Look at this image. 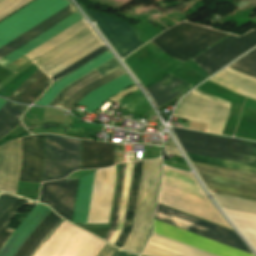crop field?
I'll return each mask as SVG.
<instances>
[{
  "mask_svg": "<svg viewBox=\"0 0 256 256\" xmlns=\"http://www.w3.org/2000/svg\"><path fill=\"white\" fill-rule=\"evenodd\" d=\"M104 241L61 220L32 256H92ZM134 256L107 243L93 256Z\"/></svg>",
  "mask_w": 256,
  "mask_h": 256,
  "instance_id": "8a807250",
  "label": "crop field"
},
{
  "mask_svg": "<svg viewBox=\"0 0 256 256\" xmlns=\"http://www.w3.org/2000/svg\"><path fill=\"white\" fill-rule=\"evenodd\" d=\"M179 143L256 156V143L172 127ZM181 144L184 151L255 164L256 158Z\"/></svg>",
  "mask_w": 256,
  "mask_h": 256,
  "instance_id": "ac0d7876",
  "label": "crop field"
},
{
  "mask_svg": "<svg viewBox=\"0 0 256 256\" xmlns=\"http://www.w3.org/2000/svg\"><path fill=\"white\" fill-rule=\"evenodd\" d=\"M160 159L144 161L132 231L123 249L139 254L150 230Z\"/></svg>",
  "mask_w": 256,
  "mask_h": 256,
  "instance_id": "34b2d1b8",
  "label": "crop field"
},
{
  "mask_svg": "<svg viewBox=\"0 0 256 256\" xmlns=\"http://www.w3.org/2000/svg\"><path fill=\"white\" fill-rule=\"evenodd\" d=\"M226 34L183 22L151 41L165 53L184 62Z\"/></svg>",
  "mask_w": 256,
  "mask_h": 256,
  "instance_id": "412701ff",
  "label": "crop field"
},
{
  "mask_svg": "<svg viewBox=\"0 0 256 256\" xmlns=\"http://www.w3.org/2000/svg\"><path fill=\"white\" fill-rule=\"evenodd\" d=\"M80 167V140L45 135L43 181L61 179Z\"/></svg>",
  "mask_w": 256,
  "mask_h": 256,
  "instance_id": "f4fd0767",
  "label": "crop field"
},
{
  "mask_svg": "<svg viewBox=\"0 0 256 256\" xmlns=\"http://www.w3.org/2000/svg\"><path fill=\"white\" fill-rule=\"evenodd\" d=\"M70 4L68 0H35L0 23V47Z\"/></svg>",
  "mask_w": 256,
  "mask_h": 256,
  "instance_id": "dd49c442",
  "label": "crop field"
},
{
  "mask_svg": "<svg viewBox=\"0 0 256 256\" xmlns=\"http://www.w3.org/2000/svg\"><path fill=\"white\" fill-rule=\"evenodd\" d=\"M154 218L252 253L242 242L236 232L192 217L190 215L178 212L176 210L158 204Z\"/></svg>",
  "mask_w": 256,
  "mask_h": 256,
  "instance_id": "e52e79f7",
  "label": "crop field"
},
{
  "mask_svg": "<svg viewBox=\"0 0 256 256\" xmlns=\"http://www.w3.org/2000/svg\"><path fill=\"white\" fill-rule=\"evenodd\" d=\"M92 32H94L92 30V28L90 26L87 27L83 31L79 32L78 34H76L75 36H73L72 38H70L69 40L64 42L63 44H61L60 46L56 47L55 49H53L49 53L45 54L44 56L37 58L33 62L36 63L37 65L42 63L43 61L47 60L48 58H50L53 55L57 54L58 52L62 51L63 49L69 47L70 45L74 44L75 42L79 41L80 39L84 38L85 36L89 35ZM97 39H99V37L94 32L38 66L44 71V70L48 69L49 67L55 65L56 63L60 62L61 60L65 59L66 57L70 56L71 54L82 49L83 47L87 46L88 44L94 42ZM102 45H104V44L101 41V39H99L44 72L51 77V76L55 75L56 73H58L59 71L63 70L64 68L68 67L69 65L73 64L77 60H79L82 57L86 56L87 54L91 53L95 49L99 48Z\"/></svg>",
  "mask_w": 256,
  "mask_h": 256,
  "instance_id": "d8731c3e",
  "label": "crop field"
},
{
  "mask_svg": "<svg viewBox=\"0 0 256 256\" xmlns=\"http://www.w3.org/2000/svg\"><path fill=\"white\" fill-rule=\"evenodd\" d=\"M192 164L209 190L256 199V175L193 162Z\"/></svg>",
  "mask_w": 256,
  "mask_h": 256,
  "instance_id": "5a996713",
  "label": "crop field"
},
{
  "mask_svg": "<svg viewBox=\"0 0 256 256\" xmlns=\"http://www.w3.org/2000/svg\"><path fill=\"white\" fill-rule=\"evenodd\" d=\"M256 45V31L242 37L228 36L192 60L209 75Z\"/></svg>",
  "mask_w": 256,
  "mask_h": 256,
  "instance_id": "3316defc",
  "label": "crop field"
},
{
  "mask_svg": "<svg viewBox=\"0 0 256 256\" xmlns=\"http://www.w3.org/2000/svg\"><path fill=\"white\" fill-rule=\"evenodd\" d=\"M229 108L192 93L180 101L173 116L208 123L207 131L220 134Z\"/></svg>",
  "mask_w": 256,
  "mask_h": 256,
  "instance_id": "28ad6ade",
  "label": "crop field"
},
{
  "mask_svg": "<svg viewBox=\"0 0 256 256\" xmlns=\"http://www.w3.org/2000/svg\"><path fill=\"white\" fill-rule=\"evenodd\" d=\"M84 9L90 18L96 21L99 30L121 58L143 44L127 22L111 15H99L89 9Z\"/></svg>",
  "mask_w": 256,
  "mask_h": 256,
  "instance_id": "d1516ede",
  "label": "crop field"
},
{
  "mask_svg": "<svg viewBox=\"0 0 256 256\" xmlns=\"http://www.w3.org/2000/svg\"><path fill=\"white\" fill-rule=\"evenodd\" d=\"M120 67V64L114 57L96 69L106 75ZM121 68L106 76L96 69L91 71L87 75L65 87L49 105L56 106L64 97L78 103L91 90L124 74L125 71L122 68L123 72Z\"/></svg>",
  "mask_w": 256,
  "mask_h": 256,
  "instance_id": "22f410ed",
  "label": "crop field"
},
{
  "mask_svg": "<svg viewBox=\"0 0 256 256\" xmlns=\"http://www.w3.org/2000/svg\"><path fill=\"white\" fill-rule=\"evenodd\" d=\"M141 166H142V163L136 164L133 167L127 208H126V214H125V220H124V226H123V230H122L117 242L115 243V245H117L121 248H122L125 240L127 239L128 235L131 231V227H132V221H133V215H134V209H135V203H136V196H137ZM125 170H126V163H123V164H121V167H120L112 223H111V227L105 237V240H107V241L109 240V238L115 228V225H116V219H117L120 197H121V192H122V187H123Z\"/></svg>",
  "mask_w": 256,
  "mask_h": 256,
  "instance_id": "cbeb9de0",
  "label": "crop field"
},
{
  "mask_svg": "<svg viewBox=\"0 0 256 256\" xmlns=\"http://www.w3.org/2000/svg\"><path fill=\"white\" fill-rule=\"evenodd\" d=\"M78 178L43 183L40 202L49 204L59 215L71 219Z\"/></svg>",
  "mask_w": 256,
  "mask_h": 256,
  "instance_id": "5142ce71",
  "label": "crop field"
},
{
  "mask_svg": "<svg viewBox=\"0 0 256 256\" xmlns=\"http://www.w3.org/2000/svg\"><path fill=\"white\" fill-rule=\"evenodd\" d=\"M43 166V135L21 139V166L18 181L39 182Z\"/></svg>",
  "mask_w": 256,
  "mask_h": 256,
  "instance_id": "d9b57169",
  "label": "crop field"
},
{
  "mask_svg": "<svg viewBox=\"0 0 256 256\" xmlns=\"http://www.w3.org/2000/svg\"><path fill=\"white\" fill-rule=\"evenodd\" d=\"M19 166L20 138L0 146V188L15 193Z\"/></svg>",
  "mask_w": 256,
  "mask_h": 256,
  "instance_id": "733c2abd",
  "label": "crop field"
},
{
  "mask_svg": "<svg viewBox=\"0 0 256 256\" xmlns=\"http://www.w3.org/2000/svg\"><path fill=\"white\" fill-rule=\"evenodd\" d=\"M51 209L38 203L0 250V256H14Z\"/></svg>",
  "mask_w": 256,
  "mask_h": 256,
  "instance_id": "4a817a6b",
  "label": "crop field"
},
{
  "mask_svg": "<svg viewBox=\"0 0 256 256\" xmlns=\"http://www.w3.org/2000/svg\"><path fill=\"white\" fill-rule=\"evenodd\" d=\"M114 164V144L82 140L81 169L103 168Z\"/></svg>",
  "mask_w": 256,
  "mask_h": 256,
  "instance_id": "bc2a9ffb",
  "label": "crop field"
},
{
  "mask_svg": "<svg viewBox=\"0 0 256 256\" xmlns=\"http://www.w3.org/2000/svg\"><path fill=\"white\" fill-rule=\"evenodd\" d=\"M153 234H154V235H157V236H159V237L168 239V240H170V241L179 243V242H177V241H174V240H171V239H169V238L160 236V235H158V234H155V233H153ZM154 235H152V237H151L150 240L148 241V243H147V245H146V247H145V249H144V251H143V253H142L143 256H209V255L215 256V255H212V254H210V253L201 251V250H199V249L190 247V246H188V245L179 243V244H181V245L187 246V247H189V248L198 250V251H200V252H203V253H206V254H209V255L200 253V252H198V251L189 249V248H187V247L178 245V244H176V243L170 242V241H168V240L159 238V237L154 236Z\"/></svg>",
  "mask_w": 256,
  "mask_h": 256,
  "instance_id": "214f88e0",
  "label": "crop field"
},
{
  "mask_svg": "<svg viewBox=\"0 0 256 256\" xmlns=\"http://www.w3.org/2000/svg\"><path fill=\"white\" fill-rule=\"evenodd\" d=\"M74 12H76V11L72 7V5L70 4L67 7L60 10L59 12L52 15L51 17H49L48 19L44 20L43 22H41L37 26L33 27L29 31L25 32L24 34H22L18 38L14 39L13 41L8 43L7 45L0 48V59L3 58L4 56H6L7 54L11 53L15 49L19 48L20 46H22L26 42L30 41L34 37L38 36L42 32L46 31L47 29H49L53 25L57 24L61 20L65 19L69 15L73 14Z\"/></svg>",
  "mask_w": 256,
  "mask_h": 256,
  "instance_id": "92a150f3",
  "label": "crop field"
},
{
  "mask_svg": "<svg viewBox=\"0 0 256 256\" xmlns=\"http://www.w3.org/2000/svg\"><path fill=\"white\" fill-rule=\"evenodd\" d=\"M80 19H82V18L79 16V14L77 12L74 13L73 15L69 16L65 20L61 21L60 23L53 26L52 28H50L46 32L42 33L38 37L34 38L30 42L26 43L25 45H23L19 49L15 50L11 54H9L6 57H4L3 59H1L0 60V65H2L4 67L7 66L8 64H10L13 61H15L16 59L20 58L21 56H23L27 52L31 51L35 47L39 46L43 42L50 39L51 37L55 36L59 32L63 31L67 27L71 26L75 22L79 21Z\"/></svg>",
  "mask_w": 256,
  "mask_h": 256,
  "instance_id": "dafd665d",
  "label": "crop field"
},
{
  "mask_svg": "<svg viewBox=\"0 0 256 256\" xmlns=\"http://www.w3.org/2000/svg\"><path fill=\"white\" fill-rule=\"evenodd\" d=\"M112 57L114 56L109 50L104 52L100 56L96 57L95 59L80 67L76 71L72 72L68 76L64 77L60 81L56 82L36 104L48 105L65 86L69 85L73 81L77 80L81 76L90 72L91 70L98 67Z\"/></svg>",
  "mask_w": 256,
  "mask_h": 256,
  "instance_id": "00972430",
  "label": "crop field"
},
{
  "mask_svg": "<svg viewBox=\"0 0 256 256\" xmlns=\"http://www.w3.org/2000/svg\"><path fill=\"white\" fill-rule=\"evenodd\" d=\"M133 85L129 78L124 75L105 84L104 86L94 90L85 96L79 105L88 106L86 111L93 113L94 110L105 100L110 98L117 92Z\"/></svg>",
  "mask_w": 256,
  "mask_h": 256,
  "instance_id": "a9b5d70f",
  "label": "crop field"
},
{
  "mask_svg": "<svg viewBox=\"0 0 256 256\" xmlns=\"http://www.w3.org/2000/svg\"><path fill=\"white\" fill-rule=\"evenodd\" d=\"M50 83L51 80L38 69L9 99L20 103L31 104Z\"/></svg>",
  "mask_w": 256,
  "mask_h": 256,
  "instance_id": "4177f3b9",
  "label": "crop field"
},
{
  "mask_svg": "<svg viewBox=\"0 0 256 256\" xmlns=\"http://www.w3.org/2000/svg\"><path fill=\"white\" fill-rule=\"evenodd\" d=\"M96 173L80 178L73 222L88 223Z\"/></svg>",
  "mask_w": 256,
  "mask_h": 256,
  "instance_id": "730fd06b",
  "label": "crop field"
},
{
  "mask_svg": "<svg viewBox=\"0 0 256 256\" xmlns=\"http://www.w3.org/2000/svg\"><path fill=\"white\" fill-rule=\"evenodd\" d=\"M190 86L192 85L170 74L148 88L147 92L158 107Z\"/></svg>",
  "mask_w": 256,
  "mask_h": 256,
  "instance_id": "eef30255",
  "label": "crop field"
},
{
  "mask_svg": "<svg viewBox=\"0 0 256 256\" xmlns=\"http://www.w3.org/2000/svg\"><path fill=\"white\" fill-rule=\"evenodd\" d=\"M62 218L58 217L52 210L28 238L15 256H31L41 241L57 225Z\"/></svg>",
  "mask_w": 256,
  "mask_h": 256,
  "instance_id": "ae1a2a85",
  "label": "crop field"
},
{
  "mask_svg": "<svg viewBox=\"0 0 256 256\" xmlns=\"http://www.w3.org/2000/svg\"><path fill=\"white\" fill-rule=\"evenodd\" d=\"M87 26H89L88 23H83L82 20H80L79 22L75 23L71 27L67 28L63 32L59 33L55 37L51 38L50 40H48L47 42L40 45L39 47H37L36 49L32 50L24 56H26L28 59L32 61L36 57H40L48 51L55 48L56 46L60 45L61 43H63L79 31H81L82 29L86 28Z\"/></svg>",
  "mask_w": 256,
  "mask_h": 256,
  "instance_id": "d3111659",
  "label": "crop field"
},
{
  "mask_svg": "<svg viewBox=\"0 0 256 256\" xmlns=\"http://www.w3.org/2000/svg\"><path fill=\"white\" fill-rule=\"evenodd\" d=\"M6 103L7 101L0 99V110ZM26 107L27 106H19L10 102L3 107L0 111V137L20 123L17 116H19Z\"/></svg>",
  "mask_w": 256,
  "mask_h": 256,
  "instance_id": "750c4746",
  "label": "crop field"
},
{
  "mask_svg": "<svg viewBox=\"0 0 256 256\" xmlns=\"http://www.w3.org/2000/svg\"><path fill=\"white\" fill-rule=\"evenodd\" d=\"M26 204L33 207L36 206L37 202L28 200L26 198L18 196L16 200L10 205V207L0 217V248L12 234L13 230L5 227L11 218L21 210Z\"/></svg>",
  "mask_w": 256,
  "mask_h": 256,
  "instance_id": "bd1437ed",
  "label": "crop field"
},
{
  "mask_svg": "<svg viewBox=\"0 0 256 256\" xmlns=\"http://www.w3.org/2000/svg\"><path fill=\"white\" fill-rule=\"evenodd\" d=\"M221 207L256 213V201L224 194L213 193Z\"/></svg>",
  "mask_w": 256,
  "mask_h": 256,
  "instance_id": "1d83c4d3",
  "label": "crop field"
},
{
  "mask_svg": "<svg viewBox=\"0 0 256 256\" xmlns=\"http://www.w3.org/2000/svg\"><path fill=\"white\" fill-rule=\"evenodd\" d=\"M216 77L232 82L256 92V79L243 75L228 68L220 72Z\"/></svg>",
  "mask_w": 256,
  "mask_h": 256,
  "instance_id": "120bbe31",
  "label": "crop field"
},
{
  "mask_svg": "<svg viewBox=\"0 0 256 256\" xmlns=\"http://www.w3.org/2000/svg\"><path fill=\"white\" fill-rule=\"evenodd\" d=\"M190 160L256 173V166L186 153Z\"/></svg>",
  "mask_w": 256,
  "mask_h": 256,
  "instance_id": "d32e631a",
  "label": "crop field"
},
{
  "mask_svg": "<svg viewBox=\"0 0 256 256\" xmlns=\"http://www.w3.org/2000/svg\"><path fill=\"white\" fill-rule=\"evenodd\" d=\"M230 67L256 76V49L244 56Z\"/></svg>",
  "mask_w": 256,
  "mask_h": 256,
  "instance_id": "5866460e",
  "label": "crop field"
},
{
  "mask_svg": "<svg viewBox=\"0 0 256 256\" xmlns=\"http://www.w3.org/2000/svg\"><path fill=\"white\" fill-rule=\"evenodd\" d=\"M106 50H108V49L106 48L105 45L100 47L96 51L92 52L91 54L87 55L86 57L82 58L78 62L74 63L73 65L69 66L68 68L64 69L63 71H61L60 73L56 74L55 76H53L51 78L53 79L54 82L59 80L60 78L64 77L68 73H70L73 70L77 69L78 67L82 66L83 64H85L86 62L95 58L96 56L100 55L101 53H103Z\"/></svg>",
  "mask_w": 256,
  "mask_h": 256,
  "instance_id": "028f5c9d",
  "label": "crop field"
},
{
  "mask_svg": "<svg viewBox=\"0 0 256 256\" xmlns=\"http://www.w3.org/2000/svg\"><path fill=\"white\" fill-rule=\"evenodd\" d=\"M32 0H0V20Z\"/></svg>",
  "mask_w": 256,
  "mask_h": 256,
  "instance_id": "e1f06a70",
  "label": "crop field"
},
{
  "mask_svg": "<svg viewBox=\"0 0 256 256\" xmlns=\"http://www.w3.org/2000/svg\"><path fill=\"white\" fill-rule=\"evenodd\" d=\"M17 196L11 195L7 192H3L0 195V216L9 207V205L15 200Z\"/></svg>",
  "mask_w": 256,
  "mask_h": 256,
  "instance_id": "0bd39190",
  "label": "crop field"
},
{
  "mask_svg": "<svg viewBox=\"0 0 256 256\" xmlns=\"http://www.w3.org/2000/svg\"><path fill=\"white\" fill-rule=\"evenodd\" d=\"M165 148H166L167 153H171V154H175V155L181 156L180 153L177 151V149L171 148V147H167V146H165Z\"/></svg>",
  "mask_w": 256,
  "mask_h": 256,
  "instance_id": "b80d0937",
  "label": "crop field"
}]
</instances>
